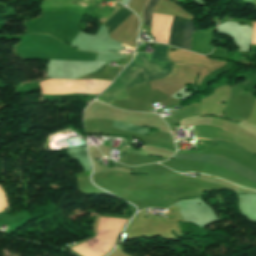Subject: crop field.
Returning <instances> with one entry per match:
<instances>
[{
	"label": "crop field",
	"mask_w": 256,
	"mask_h": 256,
	"mask_svg": "<svg viewBox=\"0 0 256 256\" xmlns=\"http://www.w3.org/2000/svg\"><path fill=\"white\" fill-rule=\"evenodd\" d=\"M167 52L168 46L158 44L151 60L141 70L127 89L144 82L170 76L174 64L168 61L166 56Z\"/></svg>",
	"instance_id": "1"
},
{
	"label": "crop field",
	"mask_w": 256,
	"mask_h": 256,
	"mask_svg": "<svg viewBox=\"0 0 256 256\" xmlns=\"http://www.w3.org/2000/svg\"><path fill=\"white\" fill-rule=\"evenodd\" d=\"M172 159H185V160L208 162V163L220 166L224 169H227L231 172H234L238 175H241L245 178H248V179L256 182V172L255 171H252V170H250L246 167H243L235 162H232L224 157L217 156L214 154H180V153H176V155Z\"/></svg>",
	"instance_id": "2"
},
{
	"label": "crop field",
	"mask_w": 256,
	"mask_h": 256,
	"mask_svg": "<svg viewBox=\"0 0 256 256\" xmlns=\"http://www.w3.org/2000/svg\"><path fill=\"white\" fill-rule=\"evenodd\" d=\"M186 20L174 17L170 28L169 44L182 48V34ZM195 31L192 21L187 20L183 34V48L190 51L192 34Z\"/></svg>",
	"instance_id": "3"
},
{
	"label": "crop field",
	"mask_w": 256,
	"mask_h": 256,
	"mask_svg": "<svg viewBox=\"0 0 256 256\" xmlns=\"http://www.w3.org/2000/svg\"><path fill=\"white\" fill-rule=\"evenodd\" d=\"M67 152H68V155L77 159L86 171L91 170L90 163L86 154V147L68 148Z\"/></svg>",
	"instance_id": "4"
},
{
	"label": "crop field",
	"mask_w": 256,
	"mask_h": 256,
	"mask_svg": "<svg viewBox=\"0 0 256 256\" xmlns=\"http://www.w3.org/2000/svg\"><path fill=\"white\" fill-rule=\"evenodd\" d=\"M132 12L126 8H122L105 26L110 33L114 30L120 23H122Z\"/></svg>",
	"instance_id": "5"
},
{
	"label": "crop field",
	"mask_w": 256,
	"mask_h": 256,
	"mask_svg": "<svg viewBox=\"0 0 256 256\" xmlns=\"http://www.w3.org/2000/svg\"><path fill=\"white\" fill-rule=\"evenodd\" d=\"M214 145L236 151L238 153L244 154L249 157L254 156V154L250 153L248 150H246L240 146H237L235 144L225 143V142H221V141H215Z\"/></svg>",
	"instance_id": "6"
},
{
	"label": "crop field",
	"mask_w": 256,
	"mask_h": 256,
	"mask_svg": "<svg viewBox=\"0 0 256 256\" xmlns=\"http://www.w3.org/2000/svg\"><path fill=\"white\" fill-rule=\"evenodd\" d=\"M112 126L117 127V128H121V129H125V130H129V131H133V132L142 133V134H146L150 130V129H147V128L126 124V123L119 122V121H114Z\"/></svg>",
	"instance_id": "7"
},
{
	"label": "crop field",
	"mask_w": 256,
	"mask_h": 256,
	"mask_svg": "<svg viewBox=\"0 0 256 256\" xmlns=\"http://www.w3.org/2000/svg\"><path fill=\"white\" fill-rule=\"evenodd\" d=\"M158 0H149L142 16L143 24L150 27L151 26V12Z\"/></svg>",
	"instance_id": "8"
},
{
	"label": "crop field",
	"mask_w": 256,
	"mask_h": 256,
	"mask_svg": "<svg viewBox=\"0 0 256 256\" xmlns=\"http://www.w3.org/2000/svg\"><path fill=\"white\" fill-rule=\"evenodd\" d=\"M250 54L256 55V46H251Z\"/></svg>",
	"instance_id": "9"
},
{
	"label": "crop field",
	"mask_w": 256,
	"mask_h": 256,
	"mask_svg": "<svg viewBox=\"0 0 256 256\" xmlns=\"http://www.w3.org/2000/svg\"><path fill=\"white\" fill-rule=\"evenodd\" d=\"M80 6H83V7H84V5H82V4H80Z\"/></svg>",
	"instance_id": "10"
},
{
	"label": "crop field",
	"mask_w": 256,
	"mask_h": 256,
	"mask_svg": "<svg viewBox=\"0 0 256 256\" xmlns=\"http://www.w3.org/2000/svg\"><path fill=\"white\" fill-rule=\"evenodd\" d=\"M196 139H199V138H196ZM207 139V138H206Z\"/></svg>",
	"instance_id": "11"
}]
</instances>
